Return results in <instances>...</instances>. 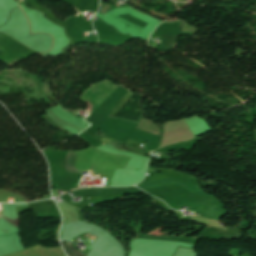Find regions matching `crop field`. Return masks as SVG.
I'll return each instance as SVG.
<instances>
[{
	"instance_id": "crop-field-1",
	"label": "crop field",
	"mask_w": 256,
	"mask_h": 256,
	"mask_svg": "<svg viewBox=\"0 0 256 256\" xmlns=\"http://www.w3.org/2000/svg\"><path fill=\"white\" fill-rule=\"evenodd\" d=\"M138 129L148 131L154 134L158 135V130L154 127V125L146 120H143L141 125L138 127Z\"/></svg>"
}]
</instances>
